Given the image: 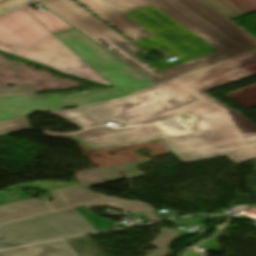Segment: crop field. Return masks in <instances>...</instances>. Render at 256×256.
<instances>
[{"label":"crop field","instance_id":"obj_1","mask_svg":"<svg viewBox=\"0 0 256 256\" xmlns=\"http://www.w3.org/2000/svg\"><path fill=\"white\" fill-rule=\"evenodd\" d=\"M55 113L85 128L111 121L144 125L188 115L193 130L178 131L156 124L124 129L95 127L67 136L92 149L162 140L167 153L182 163L222 154L235 163L256 159V137L240 140L224 109L172 81L125 98Z\"/></svg>","mask_w":256,"mask_h":256},{"label":"crop field","instance_id":"obj_2","mask_svg":"<svg viewBox=\"0 0 256 256\" xmlns=\"http://www.w3.org/2000/svg\"><path fill=\"white\" fill-rule=\"evenodd\" d=\"M204 68L256 49V39L201 0H105Z\"/></svg>","mask_w":256,"mask_h":256},{"label":"crop field","instance_id":"obj_3","mask_svg":"<svg viewBox=\"0 0 256 256\" xmlns=\"http://www.w3.org/2000/svg\"><path fill=\"white\" fill-rule=\"evenodd\" d=\"M74 29L54 35L109 81L114 88L94 90L74 97L45 94L0 98V121L55 111L66 106L121 98L155 86Z\"/></svg>","mask_w":256,"mask_h":256},{"label":"crop field","instance_id":"obj_4","mask_svg":"<svg viewBox=\"0 0 256 256\" xmlns=\"http://www.w3.org/2000/svg\"><path fill=\"white\" fill-rule=\"evenodd\" d=\"M0 50L65 74L111 85L22 8L0 16Z\"/></svg>","mask_w":256,"mask_h":256},{"label":"crop field","instance_id":"obj_5","mask_svg":"<svg viewBox=\"0 0 256 256\" xmlns=\"http://www.w3.org/2000/svg\"><path fill=\"white\" fill-rule=\"evenodd\" d=\"M40 3L137 69L157 85L201 69L187 59L170 64L165 61L169 59L166 56L163 60L157 61L155 64L145 63L135 56L143 53L140 49L107 27L73 1L46 0L41 1Z\"/></svg>","mask_w":256,"mask_h":256},{"label":"crop field","instance_id":"obj_6","mask_svg":"<svg viewBox=\"0 0 256 256\" xmlns=\"http://www.w3.org/2000/svg\"><path fill=\"white\" fill-rule=\"evenodd\" d=\"M256 62V50L239 55L229 60L198 70L172 81L203 96L206 100L223 107L230 116L240 139L256 136V127L238 111L207 96L209 90L245 79L251 74L241 67ZM204 98V99H205Z\"/></svg>","mask_w":256,"mask_h":256},{"label":"crop field","instance_id":"obj_7","mask_svg":"<svg viewBox=\"0 0 256 256\" xmlns=\"http://www.w3.org/2000/svg\"><path fill=\"white\" fill-rule=\"evenodd\" d=\"M77 234L68 222L56 213L0 227V249Z\"/></svg>","mask_w":256,"mask_h":256},{"label":"crop field","instance_id":"obj_8","mask_svg":"<svg viewBox=\"0 0 256 256\" xmlns=\"http://www.w3.org/2000/svg\"><path fill=\"white\" fill-rule=\"evenodd\" d=\"M51 194L55 200L51 201L50 204L56 212L83 204L89 208L111 206L124 212H145L150 221L158 220L151 209L152 207L150 208L148 204L106 197L88 189L81 190L78 186L52 191Z\"/></svg>","mask_w":256,"mask_h":256},{"label":"crop field","instance_id":"obj_9","mask_svg":"<svg viewBox=\"0 0 256 256\" xmlns=\"http://www.w3.org/2000/svg\"><path fill=\"white\" fill-rule=\"evenodd\" d=\"M131 41L145 50L162 46L178 59H185L182 55L167 46L151 33L143 29L131 19L127 18L103 0H76Z\"/></svg>","mask_w":256,"mask_h":256},{"label":"crop field","instance_id":"obj_10","mask_svg":"<svg viewBox=\"0 0 256 256\" xmlns=\"http://www.w3.org/2000/svg\"><path fill=\"white\" fill-rule=\"evenodd\" d=\"M52 212L47 202L28 199L0 206V225Z\"/></svg>","mask_w":256,"mask_h":256},{"label":"crop field","instance_id":"obj_11","mask_svg":"<svg viewBox=\"0 0 256 256\" xmlns=\"http://www.w3.org/2000/svg\"><path fill=\"white\" fill-rule=\"evenodd\" d=\"M0 256H76L64 240L0 251Z\"/></svg>","mask_w":256,"mask_h":256},{"label":"crop field","instance_id":"obj_12","mask_svg":"<svg viewBox=\"0 0 256 256\" xmlns=\"http://www.w3.org/2000/svg\"><path fill=\"white\" fill-rule=\"evenodd\" d=\"M24 8L36 17L52 33L74 28L48 10L37 13L28 5Z\"/></svg>","mask_w":256,"mask_h":256},{"label":"crop field","instance_id":"obj_13","mask_svg":"<svg viewBox=\"0 0 256 256\" xmlns=\"http://www.w3.org/2000/svg\"><path fill=\"white\" fill-rule=\"evenodd\" d=\"M59 213L79 234L97 231L74 208L60 211Z\"/></svg>","mask_w":256,"mask_h":256},{"label":"crop field","instance_id":"obj_14","mask_svg":"<svg viewBox=\"0 0 256 256\" xmlns=\"http://www.w3.org/2000/svg\"><path fill=\"white\" fill-rule=\"evenodd\" d=\"M178 233L177 231L166 229L158 239L151 243V245L158 247V249L149 256H166L169 254L166 247Z\"/></svg>","mask_w":256,"mask_h":256},{"label":"crop field","instance_id":"obj_15","mask_svg":"<svg viewBox=\"0 0 256 256\" xmlns=\"http://www.w3.org/2000/svg\"><path fill=\"white\" fill-rule=\"evenodd\" d=\"M30 128L27 118H19L0 122V134Z\"/></svg>","mask_w":256,"mask_h":256},{"label":"crop field","instance_id":"obj_16","mask_svg":"<svg viewBox=\"0 0 256 256\" xmlns=\"http://www.w3.org/2000/svg\"><path fill=\"white\" fill-rule=\"evenodd\" d=\"M206 1L229 18L243 14L240 11H238L236 8H234L231 4H229L226 0H206Z\"/></svg>","mask_w":256,"mask_h":256},{"label":"crop field","instance_id":"obj_17","mask_svg":"<svg viewBox=\"0 0 256 256\" xmlns=\"http://www.w3.org/2000/svg\"><path fill=\"white\" fill-rule=\"evenodd\" d=\"M36 94L34 86L0 89V97Z\"/></svg>","mask_w":256,"mask_h":256},{"label":"crop field","instance_id":"obj_18","mask_svg":"<svg viewBox=\"0 0 256 256\" xmlns=\"http://www.w3.org/2000/svg\"><path fill=\"white\" fill-rule=\"evenodd\" d=\"M241 12L249 13L256 10V0H227Z\"/></svg>","mask_w":256,"mask_h":256},{"label":"crop field","instance_id":"obj_19","mask_svg":"<svg viewBox=\"0 0 256 256\" xmlns=\"http://www.w3.org/2000/svg\"><path fill=\"white\" fill-rule=\"evenodd\" d=\"M30 0H10L0 4V13Z\"/></svg>","mask_w":256,"mask_h":256},{"label":"crop field","instance_id":"obj_20","mask_svg":"<svg viewBox=\"0 0 256 256\" xmlns=\"http://www.w3.org/2000/svg\"><path fill=\"white\" fill-rule=\"evenodd\" d=\"M247 71H249L251 74L255 75L256 74V63L248 65L246 67H243Z\"/></svg>","mask_w":256,"mask_h":256},{"label":"crop field","instance_id":"obj_21","mask_svg":"<svg viewBox=\"0 0 256 256\" xmlns=\"http://www.w3.org/2000/svg\"><path fill=\"white\" fill-rule=\"evenodd\" d=\"M50 114H52V115H54V116H56V117H59V118H63V117H61V116H59V115H57V114H55V113H53V112H50ZM63 119H65V118H63ZM67 120V119H66ZM69 121V120H68ZM71 122V121H70ZM73 123V122H72ZM75 124V123H74ZM75 125H77V124H75ZM77 126H79V125H77ZM79 127H81V126H79ZM81 128H83V127H81ZM84 129V128H83Z\"/></svg>","mask_w":256,"mask_h":256},{"label":"crop field","instance_id":"obj_22","mask_svg":"<svg viewBox=\"0 0 256 256\" xmlns=\"http://www.w3.org/2000/svg\"><path fill=\"white\" fill-rule=\"evenodd\" d=\"M0 1H3V0H0Z\"/></svg>","mask_w":256,"mask_h":256}]
</instances>
